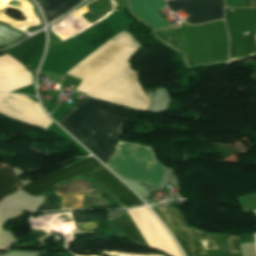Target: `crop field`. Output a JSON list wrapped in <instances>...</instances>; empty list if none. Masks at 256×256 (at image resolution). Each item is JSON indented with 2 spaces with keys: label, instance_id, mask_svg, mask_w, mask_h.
I'll use <instances>...</instances> for the list:
<instances>
[{
  "label": "crop field",
  "instance_id": "d8731c3e",
  "mask_svg": "<svg viewBox=\"0 0 256 256\" xmlns=\"http://www.w3.org/2000/svg\"><path fill=\"white\" fill-rule=\"evenodd\" d=\"M168 8L173 12L182 10L190 15L189 24H200L223 19V0H169Z\"/></svg>",
  "mask_w": 256,
  "mask_h": 256
},
{
  "label": "crop field",
  "instance_id": "412701ff",
  "mask_svg": "<svg viewBox=\"0 0 256 256\" xmlns=\"http://www.w3.org/2000/svg\"><path fill=\"white\" fill-rule=\"evenodd\" d=\"M121 177L159 186L163 168L148 147L120 142L107 164Z\"/></svg>",
  "mask_w": 256,
  "mask_h": 256
},
{
  "label": "crop field",
  "instance_id": "dd49c442",
  "mask_svg": "<svg viewBox=\"0 0 256 256\" xmlns=\"http://www.w3.org/2000/svg\"><path fill=\"white\" fill-rule=\"evenodd\" d=\"M153 209L172 232L186 256L205 255L206 250L218 249L211 235L186 228L176 209Z\"/></svg>",
  "mask_w": 256,
  "mask_h": 256
},
{
  "label": "crop field",
  "instance_id": "5a996713",
  "mask_svg": "<svg viewBox=\"0 0 256 256\" xmlns=\"http://www.w3.org/2000/svg\"><path fill=\"white\" fill-rule=\"evenodd\" d=\"M87 174L123 207H137L143 205L123 183L103 166L89 171Z\"/></svg>",
  "mask_w": 256,
  "mask_h": 256
},
{
  "label": "crop field",
  "instance_id": "ac0d7876",
  "mask_svg": "<svg viewBox=\"0 0 256 256\" xmlns=\"http://www.w3.org/2000/svg\"><path fill=\"white\" fill-rule=\"evenodd\" d=\"M132 13L154 29L170 26L156 15L165 7L163 0H129ZM154 34L178 51L186 66L228 62V40L223 21L200 26L181 23L179 28L154 30Z\"/></svg>",
  "mask_w": 256,
  "mask_h": 256
},
{
  "label": "crop field",
  "instance_id": "28ad6ade",
  "mask_svg": "<svg viewBox=\"0 0 256 256\" xmlns=\"http://www.w3.org/2000/svg\"><path fill=\"white\" fill-rule=\"evenodd\" d=\"M78 2L80 0H45L39 6L46 18V22L49 24L66 13Z\"/></svg>",
  "mask_w": 256,
  "mask_h": 256
},
{
  "label": "crop field",
  "instance_id": "5142ce71",
  "mask_svg": "<svg viewBox=\"0 0 256 256\" xmlns=\"http://www.w3.org/2000/svg\"><path fill=\"white\" fill-rule=\"evenodd\" d=\"M112 222L128 237L129 240L140 243L142 245H146L140 234L138 233L134 223L131 221L126 213L115 219H112Z\"/></svg>",
  "mask_w": 256,
  "mask_h": 256
},
{
  "label": "crop field",
  "instance_id": "f4fd0767",
  "mask_svg": "<svg viewBox=\"0 0 256 256\" xmlns=\"http://www.w3.org/2000/svg\"><path fill=\"white\" fill-rule=\"evenodd\" d=\"M230 61L256 54V17L253 9L225 8Z\"/></svg>",
  "mask_w": 256,
  "mask_h": 256
},
{
  "label": "crop field",
  "instance_id": "3316defc",
  "mask_svg": "<svg viewBox=\"0 0 256 256\" xmlns=\"http://www.w3.org/2000/svg\"><path fill=\"white\" fill-rule=\"evenodd\" d=\"M99 166H101V164L97 162L93 157H91L85 161L68 166L53 174L44 176L34 182L28 183L25 186H23L20 190L34 196L42 192L43 190L51 187L52 185L60 182L63 179L86 172Z\"/></svg>",
  "mask_w": 256,
  "mask_h": 256
},
{
  "label": "crop field",
  "instance_id": "733c2abd",
  "mask_svg": "<svg viewBox=\"0 0 256 256\" xmlns=\"http://www.w3.org/2000/svg\"><path fill=\"white\" fill-rule=\"evenodd\" d=\"M225 7L255 8L256 0H225Z\"/></svg>",
  "mask_w": 256,
  "mask_h": 256
},
{
  "label": "crop field",
  "instance_id": "d1516ede",
  "mask_svg": "<svg viewBox=\"0 0 256 256\" xmlns=\"http://www.w3.org/2000/svg\"><path fill=\"white\" fill-rule=\"evenodd\" d=\"M44 43L45 33L41 32L32 39L4 52L21 62Z\"/></svg>",
  "mask_w": 256,
  "mask_h": 256
},
{
  "label": "crop field",
  "instance_id": "bc2a9ffb",
  "mask_svg": "<svg viewBox=\"0 0 256 256\" xmlns=\"http://www.w3.org/2000/svg\"><path fill=\"white\" fill-rule=\"evenodd\" d=\"M38 4L41 3L43 0H35Z\"/></svg>",
  "mask_w": 256,
  "mask_h": 256
},
{
  "label": "crop field",
  "instance_id": "e52e79f7",
  "mask_svg": "<svg viewBox=\"0 0 256 256\" xmlns=\"http://www.w3.org/2000/svg\"><path fill=\"white\" fill-rule=\"evenodd\" d=\"M0 113L46 129L52 122L35 101L9 93H0Z\"/></svg>",
  "mask_w": 256,
  "mask_h": 256
},
{
  "label": "crop field",
  "instance_id": "cbeb9de0",
  "mask_svg": "<svg viewBox=\"0 0 256 256\" xmlns=\"http://www.w3.org/2000/svg\"><path fill=\"white\" fill-rule=\"evenodd\" d=\"M32 83V74L27 70L0 79V91L11 92Z\"/></svg>",
  "mask_w": 256,
  "mask_h": 256
},
{
  "label": "crop field",
  "instance_id": "d9b57169",
  "mask_svg": "<svg viewBox=\"0 0 256 256\" xmlns=\"http://www.w3.org/2000/svg\"><path fill=\"white\" fill-rule=\"evenodd\" d=\"M5 53L0 52V55H3ZM25 68L22 66L19 62L14 60L9 55L5 54L3 56H0V77L19 71L21 69Z\"/></svg>",
  "mask_w": 256,
  "mask_h": 256
},
{
  "label": "crop field",
  "instance_id": "34b2d1b8",
  "mask_svg": "<svg viewBox=\"0 0 256 256\" xmlns=\"http://www.w3.org/2000/svg\"><path fill=\"white\" fill-rule=\"evenodd\" d=\"M133 111L83 97L57 122L106 164L115 152L121 122Z\"/></svg>",
  "mask_w": 256,
  "mask_h": 256
},
{
  "label": "crop field",
  "instance_id": "22f410ed",
  "mask_svg": "<svg viewBox=\"0 0 256 256\" xmlns=\"http://www.w3.org/2000/svg\"><path fill=\"white\" fill-rule=\"evenodd\" d=\"M22 185L11 168L0 167V200L11 193L16 192Z\"/></svg>",
  "mask_w": 256,
  "mask_h": 256
},
{
  "label": "crop field",
  "instance_id": "4a817a6b",
  "mask_svg": "<svg viewBox=\"0 0 256 256\" xmlns=\"http://www.w3.org/2000/svg\"><path fill=\"white\" fill-rule=\"evenodd\" d=\"M227 245H228L230 254L240 252L238 237L228 236L227 237Z\"/></svg>",
  "mask_w": 256,
  "mask_h": 256
},
{
  "label": "crop field",
  "instance_id": "8a807250",
  "mask_svg": "<svg viewBox=\"0 0 256 256\" xmlns=\"http://www.w3.org/2000/svg\"><path fill=\"white\" fill-rule=\"evenodd\" d=\"M136 51L108 40L66 74L82 80L76 91L145 111L150 101L128 61Z\"/></svg>",
  "mask_w": 256,
  "mask_h": 256
}]
</instances>
